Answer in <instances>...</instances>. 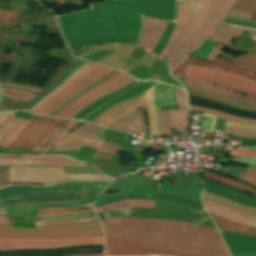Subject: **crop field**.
I'll return each instance as SVG.
<instances>
[{"mask_svg":"<svg viewBox=\"0 0 256 256\" xmlns=\"http://www.w3.org/2000/svg\"><path fill=\"white\" fill-rule=\"evenodd\" d=\"M143 16L175 23L177 0H111L56 18L65 44L85 51L86 46L111 42L137 44L144 28ZM170 22L154 50L157 57L175 26Z\"/></svg>","mask_w":256,"mask_h":256,"instance_id":"1","label":"crop field"},{"mask_svg":"<svg viewBox=\"0 0 256 256\" xmlns=\"http://www.w3.org/2000/svg\"><path fill=\"white\" fill-rule=\"evenodd\" d=\"M101 223L109 237L161 243L180 248L184 254L230 256L215 229L162 219L111 218Z\"/></svg>","mask_w":256,"mask_h":256,"instance_id":"2","label":"crop field"},{"mask_svg":"<svg viewBox=\"0 0 256 256\" xmlns=\"http://www.w3.org/2000/svg\"><path fill=\"white\" fill-rule=\"evenodd\" d=\"M234 2L235 0H196L186 28L169 51L171 71L208 37L230 11Z\"/></svg>","mask_w":256,"mask_h":256,"instance_id":"3","label":"crop field"},{"mask_svg":"<svg viewBox=\"0 0 256 256\" xmlns=\"http://www.w3.org/2000/svg\"><path fill=\"white\" fill-rule=\"evenodd\" d=\"M173 103H176L174 87L156 82L153 86L133 97L132 102L109 111L95 123L108 127L128 111L147 107L151 135H164L160 105Z\"/></svg>","mask_w":256,"mask_h":256,"instance_id":"4","label":"crop field"},{"mask_svg":"<svg viewBox=\"0 0 256 256\" xmlns=\"http://www.w3.org/2000/svg\"><path fill=\"white\" fill-rule=\"evenodd\" d=\"M77 236H104L100 223H85L39 229L0 226L1 238L56 239Z\"/></svg>","mask_w":256,"mask_h":256,"instance_id":"5","label":"crop field"},{"mask_svg":"<svg viewBox=\"0 0 256 256\" xmlns=\"http://www.w3.org/2000/svg\"><path fill=\"white\" fill-rule=\"evenodd\" d=\"M128 190H132V177L127 178L123 181L117 182V183L109 186L108 188H106L104 190V192H119V191H128ZM131 194H137V195H165V196L181 197V198H186V199H190V200H193V201L201 202L200 198H196V197H192V196H188V195H184V194H180V193H174V192L129 191V192H122V193L102 197L95 204H97L99 202H102V201H106V200L111 199V198H115V197H119V196H127V195H131ZM137 195H131V196H127V197H119V198L111 199V200H108L106 202H103V203H100V204L96 205L94 208L105 205V204H108L110 202H115V201H120V200H125V199H149V200H167V201L182 204V205L194 208V209L203 210L202 209L203 208L202 204L196 203V202H193V201H189V200H186V199L165 197V196H137Z\"/></svg>","mask_w":256,"mask_h":256,"instance_id":"6","label":"crop field"},{"mask_svg":"<svg viewBox=\"0 0 256 256\" xmlns=\"http://www.w3.org/2000/svg\"><path fill=\"white\" fill-rule=\"evenodd\" d=\"M177 248L147 243L137 240L128 239H115L106 237V250L105 255H136V256H149V255H169L177 256ZM178 256H193L183 255Z\"/></svg>","mask_w":256,"mask_h":256,"instance_id":"7","label":"crop field"},{"mask_svg":"<svg viewBox=\"0 0 256 256\" xmlns=\"http://www.w3.org/2000/svg\"><path fill=\"white\" fill-rule=\"evenodd\" d=\"M185 75L210 81L233 91L256 96V82L234 74L190 64Z\"/></svg>","mask_w":256,"mask_h":256,"instance_id":"8","label":"crop field"},{"mask_svg":"<svg viewBox=\"0 0 256 256\" xmlns=\"http://www.w3.org/2000/svg\"><path fill=\"white\" fill-rule=\"evenodd\" d=\"M113 70L104 68L99 65H92L87 71H85L79 78H77L73 83H71L67 88L57 94L55 97L50 99L40 108H38L33 114L37 115H48L54 109L63 104L66 100L74 96L83 88L87 87L94 81L100 79L101 77L111 73Z\"/></svg>","mask_w":256,"mask_h":256,"instance_id":"9","label":"crop field"},{"mask_svg":"<svg viewBox=\"0 0 256 256\" xmlns=\"http://www.w3.org/2000/svg\"><path fill=\"white\" fill-rule=\"evenodd\" d=\"M104 129L93 124H86L78 130L72 129L73 132L54 145V151L80 149L81 145H84L115 153L113 150L99 146L103 142Z\"/></svg>","mask_w":256,"mask_h":256,"instance_id":"10","label":"crop field"},{"mask_svg":"<svg viewBox=\"0 0 256 256\" xmlns=\"http://www.w3.org/2000/svg\"><path fill=\"white\" fill-rule=\"evenodd\" d=\"M87 244H104V237H77L56 240L0 239V250L24 248H61Z\"/></svg>","mask_w":256,"mask_h":256,"instance_id":"11","label":"crop field"},{"mask_svg":"<svg viewBox=\"0 0 256 256\" xmlns=\"http://www.w3.org/2000/svg\"><path fill=\"white\" fill-rule=\"evenodd\" d=\"M59 120L60 119L40 116L15 140L14 144L8 149V151L24 147L32 149L57 124Z\"/></svg>","mask_w":256,"mask_h":256,"instance_id":"12","label":"crop field"},{"mask_svg":"<svg viewBox=\"0 0 256 256\" xmlns=\"http://www.w3.org/2000/svg\"><path fill=\"white\" fill-rule=\"evenodd\" d=\"M84 191H52L26 194L19 197L0 200V205L29 204L37 202L81 199Z\"/></svg>","mask_w":256,"mask_h":256,"instance_id":"13","label":"crop field"},{"mask_svg":"<svg viewBox=\"0 0 256 256\" xmlns=\"http://www.w3.org/2000/svg\"><path fill=\"white\" fill-rule=\"evenodd\" d=\"M220 233L232 256H256V237L224 231Z\"/></svg>","mask_w":256,"mask_h":256,"instance_id":"14","label":"crop field"},{"mask_svg":"<svg viewBox=\"0 0 256 256\" xmlns=\"http://www.w3.org/2000/svg\"><path fill=\"white\" fill-rule=\"evenodd\" d=\"M6 165H63L90 167L82 162H77L64 156L52 157H19L0 159V166Z\"/></svg>","mask_w":256,"mask_h":256,"instance_id":"15","label":"crop field"},{"mask_svg":"<svg viewBox=\"0 0 256 256\" xmlns=\"http://www.w3.org/2000/svg\"><path fill=\"white\" fill-rule=\"evenodd\" d=\"M197 63V64H201V65H205V66H209V67H214V68H218V69H222L225 71H229L235 74H238L240 76L249 78L251 80L256 81V75L225 60V59H217L216 63H210V62H206V61H202V60H198V59H194V58H190L188 57L182 64H180L173 72L172 75L177 76L179 78L183 79V70L184 68L190 63Z\"/></svg>","mask_w":256,"mask_h":256,"instance_id":"16","label":"crop field"},{"mask_svg":"<svg viewBox=\"0 0 256 256\" xmlns=\"http://www.w3.org/2000/svg\"><path fill=\"white\" fill-rule=\"evenodd\" d=\"M202 184H203L204 190H206L214 195H217V196H220V197H223V198L256 208V203L236 197V196H234V194L242 196V197L250 199V200H253V201H256V197H254V196L248 195L244 192L233 189L226 185L218 184V183H215V182H212L209 180H205V179L202 180Z\"/></svg>","mask_w":256,"mask_h":256,"instance_id":"17","label":"crop field"},{"mask_svg":"<svg viewBox=\"0 0 256 256\" xmlns=\"http://www.w3.org/2000/svg\"><path fill=\"white\" fill-rule=\"evenodd\" d=\"M144 22V32L138 45L152 53L156 43L160 39L165 29L167 22L146 17H144Z\"/></svg>","mask_w":256,"mask_h":256,"instance_id":"18","label":"crop field"},{"mask_svg":"<svg viewBox=\"0 0 256 256\" xmlns=\"http://www.w3.org/2000/svg\"><path fill=\"white\" fill-rule=\"evenodd\" d=\"M109 127L135 134L139 130L146 133L142 109L128 112Z\"/></svg>","mask_w":256,"mask_h":256,"instance_id":"19","label":"crop field"},{"mask_svg":"<svg viewBox=\"0 0 256 256\" xmlns=\"http://www.w3.org/2000/svg\"><path fill=\"white\" fill-rule=\"evenodd\" d=\"M185 84L187 85H193V86H197L203 89H206L208 91L223 95L225 97L237 100V101H241L247 104H252V105H256V98H252L246 95H241V94H237V93H233L230 92L228 90L222 89L220 87L202 82L200 80H197L195 78H191V77H187L185 76ZM205 90V91H206Z\"/></svg>","mask_w":256,"mask_h":256,"instance_id":"20","label":"crop field"},{"mask_svg":"<svg viewBox=\"0 0 256 256\" xmlns=\"http://www.w3.org/2000/svg\"><path fill=\"white\" fill-rule=\"evenodd\" d=\"M203 203L205 207L207 208L208 212L221 215L227 219L244 223L250 226H253L256 228V218L245 216L243 214H240L238 212H235L233 210H230L228 208L222 207L220 205H217L213 202L205 201L203 200Z\"/></svg>","mask_w":256,"mask_h":256,"instance_id":"21","label":"crop field"},{"mask_svg":"<svg viewBox=\"0 0 256 256\" xmlns=\"http://www.w3.org/2000/svg\"><path fill=\"white\" fill-rule=\"evenodd\" d=\"M128 75L120 72L117 75L113 76L112 78L104 81L103 83H101L100 85L96 86L95 88H93L92 90L86 92L85 94L81 95L80 97H78L77 99L71 101L66 107H64L59 113H57L55 116L57 117H62L63 115H65L68 111H70L72 108H74L76 105H78L80 102L86 100L87 98L91 97L92 95L102 91L103 89L117 83L118 81L124 79L125 77H127Z\"/></svg>","mask_w":256,"mask_h":256,"instance_id":"22","label":"crop field"},{"mask_svg":"<svg viewBox=\"0 0 256 256\" xmlns=\"http://www.w3.org/2000/svg\"><path fill=\"white\" fill-rule=\"evenodd\" d=\"M155 82L153 81H147L142 83L141 85H139L138 87H136L135 89L127 92L125 95L121 96V97H117L103 105H101L100 107L96 108L95 110H93L92 112H90L87 116H85L83 119H81V121H86L89 122L91 121L93 118H95L99 113L103 112L104 110H106L107 108L120 103L126 99H129L137 94H139L141 91H143L144 89L148 88L149 86H151L152 84H154Z\"/></svg>","mask_w":256,"mask_h":256,"instance_id":"23","label":"crop field"},{"mask_svg":"<svg viewBox=\"0 0 256 256\" xmlns=\"http://www.w3.org/2000/svg\"><path fill=\"white\" fill-rule=\"evenodd\" d=\"M134 78L132 77H127L126 79L122 80L121 82L103 90L102 92L94 95L93 97L87 99L86 101H84L83 103L79 104L78 106H76L73 110H71L69 113H67L65 116H63L64 118H68L71 119L73 116H75L79 111H81L83 108H85L86 106H88L89 104L93 103L94 101H96L97 99L111 93L114 92L116 90H119L123 87H125L126 85L130 84L131 82H133Z\"/></svg>","mask_w":256,"mask_h":256,"instance_id":"24","label":"crop field"},{"mask_svg":"<svg viewBox=\"0 0 256 256\" xmlns=\"http://www.w3.org/2000/svg\"><path fill=\"white\" fill-rule=\"evenodd\" d=\"M218 229L227 230L232 232L246 233L256 236V229L247 225L239 224L218 215L210 214Z\"/></svg>","mask_w":256,"mask_h":256,"instance_id":"25","label":"crop field"},{"mask_svg":"<svg viewBox=\"0 0 256 256\" xmlns=\"http://www.w3.org/2000/svg\"><path fill=\"white\" fill-rule=\"evenodd\" d=\"M143 81H134L133 83H131L130 85H128L127 87L119 90V91H116L114 93H111L99 100H97L96 102H94L93 104L89 105L88 107H86L84 110H82L80 113H78L75 117H73L72 119H75V120H79L81 118H83L88 112L92 111L93 109H95L96 107L100 106L101 104L117 97V96H120V95H123L124 93H126L127 91L135 88L136 86H138L139 84H141Z\"/></svg>","mask_w":256,"mask_h":256,"instance_id":"26","label":"crop field"},{"mask_svg":"<svg viewBox=\"0 0 256 256\" xmlns=\"http://www.w3.org/2000/svg\"><path fill=\"white\" fill-rule=\"evenodd\" d=\"M93 63L88 62L85 65H83L81 68L74 71L63 83H61L55 90L50 92L48 95H46L44 98H42L39 102H37L30 110L29 112L35 111L38 107H40L42 104H44L46 101H48L50 98H52L54 95H56L58 92H60L62 89H64L66 86H68L72 81H74L78 76H80L86 69H88Z\"/></svg>","mask_w":256,"mask_h":256,"instance_id":"27","label":"crop field"},{"mask_svg":"<svg viewBox=\"0 0 256 256\" xmlns=\"http://www.w3.org/2000/svg\"><path fill=\"white\" fill-rule=\"evenodd\" d=\"M85 186H69V187H27L16 191L0 194V199L23 195L31 192L52 191V190H84Z\"/></svg>","mask_w":256,"mask_h":256,"instance_id":"28","label":"crop field"},{"mask_svg":"<svg viewBox=\"0 0 256 256\" xmlns=\"http://www.w3.org/2000/svg\"><path fill=\"white\" fill-rule=\"evenodd\" d=\"M204 199L213 201L217 204L223 205L225 207H228L230 209H233V210L238 211L240 213H243L245 215H250V216L256 217V209L249 208V207L237 204L235 202H232V201H229V200H226V199L208 194L206 192H205Z\"/></svg>","mask_w":256,"mask_h":256,"instance_id":"29","label":"crop field"},{"mask_svg":"<svg viewBox=\"0 0 256 256\" xmlns=\"http://www.w3.org/2000/svg\"><path fill=\"white\" fill-rule=\"evenodd\" d=\"M203 177L207 178V179H210L212 181L223 183V184H226L228 186L234 187L236 189H239V190H242V191H245V192L256 195V189H254V188H252V187H250V186H248V185H246L242 182L233 180L231 178H225V177L216 175L214 173L208 172L206 170H205V174H204Z\"/></svg>","mask_w":256,"mask_h":256,"instance_id":"30","label":"crop field"},{"mask_svg":"<svg viewBox=\"0 0 256 256\" xmlns=\"http://www.w3.org/2000/svg\"><path fill=\"white\" fill-rule=\"evenodd\" d=\"M154 201H147V200H125L120 202L111 203L99 208H96L95 211L97 213L103 212L106 210L116 209L120 207H147L153 208Z\"/></svg>","mask_w":256,"mask_h":256,"instance_id":"31","label":"crop field"},{"mask_svg":"<svg viewBox=\"0 0 256 256\" xmlns=\"http://www.w3.org/2000/svg\"><path fill=\"white\" fill-rule=\"evenodd\" d=\"M243 32L233 29L226 28L220 25L210 36V38L215 39L224 45L231 43L232 39L239 38Z\"/></svg>","mask_w":256,"mask_h":256,"instance_id":"32","label":"crop field"},{"mask_svg":"<svg viewBox=\"0 0 256 256\" xmlns=\"http://www.w3.org/2000/svg\"><path fill=\"white\" fill-rule=\"evenodd\" d=\"M220 56L232 62H235L256 74V54L246 53L244 55L239 56L238 58H235L225 52H222Z\"/></svg>","mask_w":256,"mask_h":256,"instance_id":"33","label":"crop field"},{"mask_svg":"<svg viewBox=\"0 0 256 256\" xmlns=\"http://www.w3.org/2000/svg\"><path fill=\"white\" fill-rule=\"evenodd\" d=\"M22 118H15L14 112L0 114V143L9 131L21 120Z\"/></svg>","mask_w":256,"mask_h":256,"instance_id":"34","label":"crop field"},{"mask_svg":"<svg viewBox=\"0 0 256 256\" xmlns=\"http://www.w3.org/2000/svg\"><path fill=\"white\" fill-rule=\"evenodd\" d=\"M171 129L189 128L188 111H170Z\"/></svg>","mask_w":256,"mask_h":256,"instance_id":"35","label":"crop field"},{"mask_svg":"<svg viewBox=\"0 0 256 256\" xmlns=\"http://www.w3.org/2000/svg\"><path fill=\"white\" fill-rule=\"evenodd\" d=\"M92 204H83V205H75V206H67V207H59V208H51V209H42L38 211V215H48V214H62V213H70L74 211L81 210H89L92 209Z\"/></svg>","mask_w":256,"mask_h":256,"instance_id":"36","label":"crop field"},{"mask_svg":"<svg viewBox=\"0 0 256 256\" xmlns=\"http://www.w3.org/2000/svg\"><path fill=\"white\" fill-rule=\"evenodd\" d=\"M33 120L34 119L26 121L23 119L20 123H18L6 136L0 147L8 149L12 142L30 125Z\"/></svg>","mask_w":256,"mask_h":256,"instance_id":"37","label":"crop field"},{"mask_svg":"<svg viewBox=\"0 0 256 256\" xmlns=\"http://www.w3.org/2000/svg\"><path fill=\"white\" fill-rule=\"evenodd\" d=\"M190 110L205 112L207 114L213 115L215 117H218V118H221V119H224V120L256 125V121H254V120L243 119V118L235 117V116H232V115L215 112V111H212V110H209V109H203V108H197V107L190 106Z\"/></svg>","mask_w":256,"mask_h":256,"instance_id":"38","label":"crop field"},{"mask_svg":"<svg viewBox=\"0 0 256 256\" xmlns=\"http://www.w3.org/2000/svg\"><path fill=\"white\" fill-rule=\"evenodd\" d=\"M157 190H165V191H174V192H180L196 197L202 196L201 190L192 189L184 186H178V185H168V184H161L159 183Z\"/></svg>","mask_w":256,"mask_h":256,"instance_id":"39","label":"crop field"},{"mask_svg":"<svg viewBox=\"0 0 256 256\" xmlns=\"http://www.w3.org/2000/svg\"><path fill=\"white\" fill-rule=\"evenodd\" d=\"M217 42L207 38L204 43L192 54L193 57L205 60Z\"/></svg>","mask_w":256,"mask_h":256,"instance_id":"40","label":"crop field"},{"mask_svg":"<svg viewBox=\"0 0 256 256\" xmlns=\"http://www.w3.org/2000/svg\"><path fill=\"white\" fill-rule=\"evenodd\" d=\"M75 124H77L76 122H72L69 121L66 126L59 132V134L54 137L49 143H47L37 154L35 155H42L44 154L47 150L50 149V147L56 143L59 139L63 138L64 136H66L68 133L71 132L70 128L73 127Z\"/></svg>","mask_w":256,"mask_h":256,"instance_id":"41","label":"crop field"},{"mask_svg":"<svg viewBox=\"0 0 256 256\" xmlns=\"http://www.w3.org/2000/svg\"><path fill=\"white\" fill-rule=\"evenodd\" d=\"M1 93H2V96L4 97H9V98L22 100L26 102H28L33 96H35L34 94L21 92L13 89H5V88H1Z\"/></svg>","mask_w":256,"mask_h":256,"instance_id":"42","label":"crop field"},{"mask_svg":"<svg viewBox=\"0 0 256 256\" xmlns=\"http://www.w3.org/2000/svg\"><path fill=\"white\" fill-rule=\"evenodd\" d=\"M84 61V60H83ZM83 61H78L76 62L61 78L60 80L52 87L50 88L47 92H45L42 96L37 98L35 101H33L31 104H29L24 110L28 111L38 100H40L42 97H44L47 93H49L51 90H53L55 87H57L61 82H63L75 69L81 67L83 64L86 62ZM76 71V70H75ZM39 102V101H38Z\"/></svg>","mask_w":256,"mask_h":256,"instance_id":"43","label":"crop field"},{"mask_svg":"<svg viewBox=\"0 0 256 256\" xmlns=\"http://www.w3.org/2000/svg\"><path fill=\"white\" fill-rule=\"evenodd\" d=\"M233 9L256 13V0H238ZM253 21L256 22V15Z\"/></svg>","mask_w":256,"mask_h":256,"instance_id":"44","label":"crop field"},{"mask_svg":"<svg viewBox=\"0 0 256 256\" xmlns=\"http://www.w3.org/2000/svg\"><path fill=\"white\" fill-rule=\"evenodd\" d=\"M191 9L192 7H189V6H179L176 25L184 27V25L187 23L189 19Z\"/></svg>","mask_w":256,"mask_h":256,"instance_id":"45","label":"crop field"},{"mask_svg":"<svg viewBox=\"0 0 256 256\" xmlns=\"http://www.w3.org/2000/svg\"><path fill=\"white\" fill-rule=\"evenodd\" d=\"M240 180L245 181L256 187V167L249 166L244 174L241 176Z\"/></svg>","mask_w":256,"mask_h":256,"instance_id":"46","label":"crop field"},{"mask_svg":"<svg viewBox=\"0 0 256 256\" xmlns=\"http://www.w3.org/2000/svg\"><path fill=\"white\" fill-rule=\"evenodd\" d=\"M223 133L235 135V136H239V137H247V138H255L256 139V132L240 131V130H234V129L224 127Z\"/></svg>","mask_w":256,"mask_h":256,"instance_id":"47","label":"crop field"},{"mask_svg":"<svg viewBox=\"0 0 256 256\" xmlns=\"http://www.w3.org/2000/svg\"><path fill=\"white\" fill-rule=\"evenodd\" d=\"M176 99L179 109H188V102L185 92L183 90L175 88Z\"/></svg>","mask_w":256,"mask_h":256,"instance_id":"48","label":"crop field"},{"mask_svg":"<svg viewBox=\"0 0 256 256\" xmlns=\"http://www.w3.org/2000/svg\"><path fill=\"white\" fill-rule=\"evenodd\" d=\"M224 126L240 130L256 131V126L244 125L229 121H226Z\"/></svg>","mask_w":256,"mask_h":256,"instance_id":"49","label":"crop field"},{"mask_svg":"<svg viewBox=\"0 0 256 256\" xmlns=\"http://www.w3.org/2000/svg\"><path fill=\"white\" fill-rule=\"evenodd\" d=\"M60 128H54L40 143H38L33 150L38 151L41 147H43L48 141H50L58 132Z\"/></svg>","mask_w":256,"mask_h":256,"instance_id":"50","label":"crop field"},{"mask_svg":"<svg viewBox=\"0 0 256 256\" xmlns=\"http://www.w3.org/2000/svg\"><path fill=\"white\" fill-rule=\"evenodd\" d=\"M215 117L204 114L202 129L213 130L215 124Z\"/></svg>","mask_w":256,"mask_h":256,"instance_id":"51","label":"crop field"},{"mask_svg":"<svg viewBox=\"0 0 256 256\" xmlns=\"http://www.w3.org/2000/svg\"><path fill=\"white\" fill-rule=\"evenodd\" d=\"M181 29H182L181 27H177V26L175 27V29H174V31H173V33H172V35H171V38H170L169 42L167 43V45L165 46V48L163 49V51L161 52V54L159 55L158 58H160V59L163 60L164 56L167 54V50H168V48L170 47L172 41L174 40V38H175L176 35L180 32Z\"/></svg>","mask_w":256,"mask_h":256,"instance_id":"52","label":"crop field"},{"mask_svg":"<svg viewBox=\"0 0 256 256\" xmlns=\"http://www.w3.org/2000/svg\"><path fill=\"white\" fill-rule=\"evenodd\" d=\"M253 14L251 13H245V12H240V11H234L231 10V12L228 14L229 17H234L238 19H243V20H251Z\"/></svg>","mask_w":256,"mask_h":256,"instance_id":"53","label":"crop field"},{"mask_svg":"<svg viewBox=\"0 0 256 256\" xmlns=\"http://www.w3.org/2000/svg\"><path fill=\"white\" fill-rule=\"evenodd\" d=\"M165 135H170L169 111H161Z\"/></svg>","mask_w":256,"mask_h":256,"instance_id":"54","label":"crop field"},{"mask_svg":"<svg viewBox=\"0 0 256 256\" xmlns=\"http://www.w3.org/2000/svg\"><path fill=\"white\" fill-rule=\"evenodd\" d=\"M231 156H256V153L247 149L238 148L237 150L231 149Z\"/></svg>","mask_w":256,"mask_h":256,"instance_id":"55","label":"crop field"},{"mask_svg":"<svg viewBox=\"0 0 256 256\" xmlns=\"http://www.w3.org/2000/svg\"><path fill=\"white\" fill-rule=\"evenodd\" d=\"M226 47L220 45L217 43V45L215 46V48L213 49V51L211 52V54L209 55V57L207 58L208 61H212L215 62L217 56L220 54V52L222 50H224Z\"/></svg>","mask_w":256,"mask_h":256,"instance_id":"56","label":"crop field"},{"mask_svg":"<svg viewBox=\"0 0 256 256\" xmlns=\"http://www.w3.org/2000/svg\"><path fill=\"white\" fill-rule=\"evenodd\" d=\"M232 160L241 162V163H246V164H256V157H254V158H234Z\"/></svg>","mask_w":256,"mask_h":256,"instance_id":"57","label":"crop field"},{"mask_svg":"<svg viewBox=\"0 0 256 256\" xmlns=\"http://www.w3.org/2000/svg\"><path fill=\"white\" fill-rule=\"evenodd\" d=\"M14 224V217H0V225H11Z\"/></svg>","mask_w":256,"mask_h":256,"instance_id":"58","label":"crop field"},{"mask_svg":"<svg viewBox=\"0 0 256 256\" xmlns=\"http://www.w3.org/2000/svg\"><path fill=\"white\" fill-rule=\"evenodd\" d=\"M225 20H229V21H232V22L240 23V24H246V25L256 26V23H254V22H248V21L233 19V18H229V17H226Z\"/></svg>","mask_w":256,"mask_h":256,"instance_id":"59","label":"crop field"},{"mask_svg":"<svg viewBox=\"0 0 256 256\" xmlns=\"http://www.w3.org/2000/svg\"><path fill=\"white\" fill-rule=\"evenodd\" d=\"M0 85L18 87V88H23V89H27V90H31V91H36V92L41 91L39 89H34V88H30V87H26V86H21V85H9V84H2V83H0Z\"/></svg>","mask_w":256,"mask_h":256,"instance_id":"60","label":"crop field"},{"mask_svg":"<svg viewBox=\"0 0 256 256\" xmlns=\"http://www.w3.org/2000/svg\"><path fill=\"white\" fill-rule=\"evenodd\" d=\"M194 0H178V5H189L193 6Z\"/></svg>","mask_w":256,"mask_h":256,"instance_id":"61","label":"crop field"},{"mask_svg":"<svg viewBox=\"0 0 256 256\" xmlns=\"http://www.w3.org/2000/svg\"><path fill=\"white\" fill-rule=\"evenodd\" d=\"M131 100H132V99L126 100V101H124V102H122V103H120V104H117V105L111 107L110 109H108V110H106L105 112H103L101 115H99L97 118H95V119L92 120L91 122L96 121L98 118H100L102 115H104L105 113H107L109 110H111V109H113V108H115V107H117V106H119V105H121V104H124V103H126V102H129V101H131Z\"/></svg>","mask_w":256,"mask_h":256,"instance_id":"62","label":"crop field"},{"mask_svg":"<svg viewBox=\"0 0 256 256\" xmlns=\"http://www.w3.org/2000/svg\"><path fill=\"white\" fill-rule=\"evenodd\" d=\"M35 153H36V151H32V150L26 148L19 155H34Z\"/></svg>","mask_w":256,"mask_h":256,"instance_id":"63","label":"crop field"},{"mask_svg":"<svg viewBox=\"0 0 256 256\" xmlns=\"http://www.w3.org/2000/svg\"><path fill=\"white\" fill-rule=\"evenodd\" d=\"M99 170H106V171H127L130 172V170H126V169H116V168H97Z\"/></svg>","mask_w":256,"mask_h":256,"instance_id":"64","label":"crop field"},{"mask_svg":"<svg viewBox=\"0 0 256 256\" xmlns=\"http://www.w3.org/2000/svg\"><path fill=\"white\" fill-rule=\"evenodd\" d=\"M101 146L108 147V148L113 149V150H115V151H117V148H118V147L115 146V145H112V144H109V143H105V142H103Z\"/></svg>","mask_w":256,"mask_h":256,"instance_id":"65","label":"crop field"},{"mask_svg":"<svg viewBox=\"0 0 256 256\" xmlns=\"http://www.w3.org/2000/svg\"><path fill=\"white\" fill-rule=\"evenodd\" d=\"M94 167H117V168H120L116 165H113V164H95L93 165Z\"/></svg>","mask_w":256,"mask_h":256,"instance_id":"66","label":"crop field"},{"mask_svg":"<svg viewBox=\"0 0 256 256\" xmlns=\"http://www.w3.org/2000/svg\"><path fill=\"white\" fill-rule=\"evenodd\" d=\"M68 122V120L61 119L60 122L57 124L56 127L63 128L64 125Z\"/></svg>","mask_w":256,"mask_h":256,"instance_id":"67","label":"crop field"},{"mask_svg":"<svg viewBox=\"0 0 256 256\" xmlns=\"http://www.w3.org/2000/svg\"><path fill=\"white\" fill-rule=\"evenodd\" d=\"M118 72L117 71H115V72H113V73H111V74H109V75H107V76H105V78H110L111 76H113V75H115V74H117Z\"/></svg>","mask_w":256,"mask_h":256,"instance_id":"68","label":"crop field"},{"mask_svg":"<svg viewBox=\"0 0 256 256\" xmlns=\"http://www.w3.org/2000/svg\"><path fill=\"white\" fill-rule=\"evenodd\" d=\"M0 215H5V208H0Z\"/></svg>","mask_w":256,"mask_h":256,"instance_id":"69","label":"crop field"},{"mask_svg":"<svg viewBox=\"0 0 256 256\" xmlns=\"http://www.w3.org/2000/svg\"><path fill=\"white\" fill-rule=\"evenodd\" d=\"M80 256H103V255H80Z\"/></svg>","mask_w":256,"mask_h":256,"instance_id":"70","label":"crop field"},{"mask_svg":"<svg viewBox=\"0 0 256 256\" xmlns=\"http://www.w3.org/2000/svg\"><path fill=\"white\" fill-rule=\"evenodd\" d=\"M0 157H17V156H3V155H0Z\"/></svg>","mask_w":256,"mask_h":256,"instance_id":"71","label":"crop field"},{"mask_svg":"<svg viewBox=\"0 0 256 256\" xmlns=\"http://www.w3.org/2000/svg\"><path fill=\"white\" fill-rule=\"evenodd\" d=\"M6 185H9V184H2V185H0V187H2V186H6Z\"/></svg>","mask_w":256,"mask_h":256,"instance_id":"72","label":"crop field"},{"mask_svg":"<svg viewBox=\"0 0 256 256\" xmlns=\"http://www.w3.org/2000/svg\"><path fill=\"white\" fill-rule=\"evenodd\" d=\"M251 38H253L254 40H256V38H255V37H252V36H251Z\"/></svg>","mask_w":256,"mask_h":256,"instance_id":"73","label":"crop field"},{"mask_svg":"<svg viewBox=\"0 0 256 256\" xmlns=\"http://www.w3.org/2000/svg\"><path fill=\"white\" fill-rule=\"evenodd\" d=\"M252 150H255V151H256V149H252Z\"/></svg>","mask_w":256,"mask_h":256,"instance_id":"74","label":"crop field"}]
</instances>
